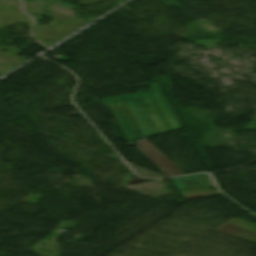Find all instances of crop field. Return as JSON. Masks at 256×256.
<instances>
[{
	"label": "crop field",
	"mask_w": 256,
	"mask_h": 256,
	"mask_svg": "<svg viewBox=\"0 0 256 256\" xmlns=\"http://www.w3.org/2000/svg\"><path fill=\"white\" fill-rule=\"evenodd\" d=\"M152 91L103 98L128 141L179 129L157 84Z\"/></svg>",
	"instance_id": "crop-field-1"
},
{
	"label": "crop field",
	"mask_w": 256,
	"mask_h": 256,
	"mask_svg": "<svg viewBox=\"0 0 256 256\" xmlns=\"http://www.w3.org/2000/svg\"><path fill=\"white\" fill-rule=\"evenodd\" d=\"M172 181L185 199L221 194L218 191L209 190L203 182V174L173 178Z\"/></svg>",
	"instance_id": "crop-field-2"
},
{
	"label": "crop field",
	"mask_w": 256,
	"mask_h": 256,
	"mask_svg": "<svg viewBox=\"0 0 256 256\" xmlns=\"http://www.w3.org/2000/svg\"><path fill=\"white\" fill-rule=\"evenodd\" d=\"M134 146L168 177L184 174L146 138L139 140Z\"/></svg>",
	"instance_id": "crop-field-3"
},
{
	"label": "crop field",
	"mask_w": 256,
	"mask_h": 256,
	"mask_svg": "<svg viewBox=\"0 0 256 256\" xmlns=\"http://www.w3.org/2000/svg\"><path fill=\"white\" fill-rule=\"evenodd\" d=\"M214 231L256 243V224L239 219L233 218Z\"/></svg>",
	"instance_id": "crop-field-4"
}]
</instances>
